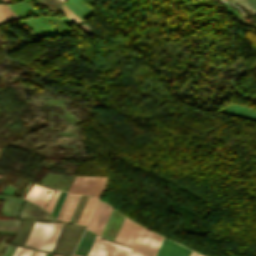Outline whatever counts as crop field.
<instances>
[{"label": "crop field", "mask_w": 256, "mask_h": 256, "mask_svg": "<svg viewBox=\"0 0 256 256\" xmlns=\"http://www.w3.org/2000/svg\"><path fill=\"white\" fill-rule=\"evenodd\" d=\"M6 176H7V174L5 173L3 178H2V180H1V182H0V186H1L2 182L5 180Z\"/></svg>", "instance_id": "obj_14"}, {"label": "crop field", "mask_w": 256, "mask_h": 256, "mask_svg": "<svg viewBox=\"0 0 256 256\" xmlns=\"http://www.w3.org/2000/svg\"><path fill=\"white\" fill-rule=\"evenodd\" d=\"M58 256H60V255H58Z\"/></svg>", "instance_id": "obj_17"}, {"label": "crop field", "mask_w": 256, "mask_h": 256, "mask_svg": "<svg viewBox=\"0 0 256 256\" xmlns=\"http://www.w3.org/2000/svg\"><path fill=\"white\" fill-rule=\"evenodd\" d=\"M48 190L51 191L50 194H47ZM53 192L54 189L34 183L27 194L24 196V199H27L44 208Z\"/></svg>", "instance_id": "obj_4"}, {"label": "crop field", "mask_w": 256, "mask_h": 256, "mask_svg": "<svg viewBox=\"0 0 256 256\" xmlns=\"http://www.w3.org/2000/svg\"><path fill=\"white\" fill-rule=\"evenodd\" d=\"M162 237L142 228L133 249L121 246L96 236L88 255L90 256H155Z\"/></svg>", "instance_id": "obj_1"}, {"label": "crop field", "mask_w": 256, "mask_h": 256, "mask_svg": "<svg viewBox=\"0 0 256 256\" xmlns=\"http://www.w3.org/2000/svg\"><path fill=\"white\" fill-rule=\"evenodd\" d=\"M191 256H201V255H199V254H197L195 252H192Z\"/></svg>", "instance_id": "obj_15"}, {"label": "crop field", "mask_w": 256, "mask_h": 256, "mask_svg": "<svg viewBox=\"0 0 256 256\" xmlns=\"http://www.w3.org/2000/svg\"><path fill=\"white\" fill-rule=\"evenodd\" d=\"M32 252H33V249L24 247V249L22 250L19 256H30Z\"/></svg>", "instance_id": "obj_11"}, {"label": "crop field", "mask_w": 256, "mask_h": 256, "mask_svg": "<svg viewBox=\"0 0 256 256\" xmlns=\"http://www.w3.org/2000/svg\"><path fill=\"white\" fill-rule=\"evenodd\" d=\"M63 11L67 15V17L72 21V22H79L82 21L80 18H78L74 13H72L65 5L63 6Z\"/></svg>", "instance_id": "obj_9"}, {"label": "crop field", "mask_w": 256, "mask_h": 256, "mask_svg": "<svg viewBox=\"0 0 256 256\" xmlns=\"http://www.w3.org/2000/svg\"><path fill=\"white\" fill-rule=\"evenodd\" d=\"M97 202H98L97 198L95 197L89 198L86 204V207L82 213V216L78 222L79 224H86V225L88 224Z\"/></svg>", "instance_id": "obj_6"}, {"label": "crop field", "mask_w": 256, "mask_h": 256, "mask_svg": "<svg viewBox=\"0 0 256 256\" xmlns=\"http://www.w3.org/2000/svg\"><path fill=\"white\" fill-rule=\"evenodd\" d=\"M141 228V226L125 219L115 241L133 247Z\"/></svg>", "instance_id": "obj_3"}, {"label": "crop field", "mask_w": 256, "mask_h": 256, "mask_svg": "<svg viewBox=\"0 0 256 256\" xmlns=\"http://www.w3.org/2000/svg\"><path fill=\"white\" fill-rule=\"evenodd\" d=\"M73 256H76V255H73Z\"/></svg>", "instance_id": "obj_16"}, {"label": "crop field", "mask_w": 256, "mask_h": 256, "mask_svg": "<svg viewBox=\"0 0 256 256\" xmlns=\"http://www.w3.org/2000/svg\"><path fill=\"white\" fill-rule=\"evenodd\" d=\"M191 252V250L164 238L156 256H190Z\"/></svg>", "instance_id": "obj_5"}, {"label": "crop field", "mask_w": 256, "mask_h": 256, "mask_svg": "<svg viewBox=\"0 0 256 256\" xmlns=\"http://www.w3.org/2000/svg\"><path fill=\"white\" fill-rule=\"evenodd\" d=\"M63 223L36 222L25 245L51 252Z\"/></svg>", "instance_id": "obj_2"}, {"label": "crop field", "mask_w": 256, "mask_h": 256, "mask_svg": "<svg viewBox=\"0 0 256 256\" xmlns=\"http://www.w3.org/2000/svg\"><path fill=\"white\" fill-rule=\"evenodd\" d=\"M45 253L41 252V251H35V253L33 254V256H44Z\"/></svg>", "instance_id": "obj_12"}, {"label": "crop field", "mask_w": 256, "mask_h": 256, "mask_svg": "<svg viewBox=\"0 0 256 256\" xmlns=\"http://www.w3.org/2000/svg\"><path fill=\"white\" fill-rule=\"evenodd\" d=\"M103 205H104V203H102V202L100 201V203H99V205H98V207H97V209H96V211H95V214H94V216H93V218H92V220H91V222H90V224H89L88 229L93 230V228H94V226H95V223H96V221H97V219H98V216H99V214H100V212H101V209H102Z\"/></svg>", "instance_id": "obj_8"}, {"label": "crop field", "mask_w": 256, "mask_h": 256, "mask_svg": "<svg viewBox=\"0 0 256 256\" xmlns=\"http://www.w3.org/2000/svg\"><path fill=\"white\" fill-rule=\"evenodd\" d=\"M64 1V0H63Z\"/></svg>", "instance_id": "obj_18"}, {"label": "crop field", "mask_w": 256, "mask_h": 256, "mask_svg": "<svg viewBox=\"0 0 256 256\" xmlns=\"http://www.w3.org/2000/svg\"><path fill=\"white\" fill-rule=\"evenodd\" d=\"M21 249H22V247H21V246H18V248H17L16 251L14 252L13 256H17Z\"/></svg>", "instance_id": "obj_13"}, {"label": "crop field", "mask_w": 256, "mask_h": 256, "mask_svg": "<svg viewBox=\"0 0 256 256\" xmlns=\"http://www.w3.org/2000/svg\"><path fill=\"white\" fill-rule=\"evenodd\" d=\"M59 193H60V191L55 190L53 196L51 197V199H50V201H49V203L47 204V206H46L45 209H47V210H49V211H52V209H53V207H54V204H55V202H56V200H57V197H58Z\"/></svg>", "instance_id": "obj_10"}, {"label": "crop field", "mask_w": 256, "mask_h": 256, "mask_svg": "<svg viewBox=\"0 0 256 256\" xmlns=\"http://www.w3.org/2000/svg\"><path fill=\"white\" fill-rule=\"evenodd\" d=\"M232 4L237 3L242 7L256 13V0H233Z\"/></svg>", "instance_id": "obj_7"}]
</instances>
